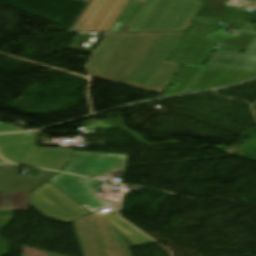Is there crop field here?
Segmentation results:
<instances>
[{
  "instance_id": "1",
  "label": "crop field",
  "mask_w": 256,
  "mask_h": 256,
  "mask_svg": "<svg viewBox=\"0 0 256 256\" xmlns=\"http://www.w3.org/2000/svg\"><path fill=\"white\" fill-rule=\"evenodd\" d=\"M185 32L110 34L89 63L93 77L156 92L180 64L164 60Z\"/></svg>"
},
{
  "instance_id": "2",
  "label": "crop field",
  "mask_w": 256,
  "mask_h": 256,
  "mask_svg": "<svg viewBox=\"0 0 256 256\" xmlns=\"http://www.w3.org/2000/svg\"><path fill=\"white\" fill-rule=\"evenodd\" d=\"M72 223L83 256H132L126 240L113 227L96 226L91 215Z\"/></svg>"
},
{
  "instance_id": "3",
  "label": "crop field",
  "mask_w": 256,
  "mask_h": 256,
  "mask_svg": "<svg viewBox=\"0 0 256 256\" xmlns=\"http://www.w3.org/2000/svg\"><path fill=\"white\" fill-rule=\"evenodd\" d=\"M30 205L45 217L64 223L89 214V211L48 182L31 193Z\"/></svg>"
},
{
  "instance_id": "4",
  "label": "crop field",
  "mask_w": 256,
  "mask_h": 256,
  "mask_svg": "<svg viewBox=\"0 0 256 256\" xmlns=\"http://www.w3.org/2000/svg\"><path fill=\"white\" fill-rule=\"evenodd\" d=\"M129 0H93L72 31L108 32Z\"/></svg>"
},
{
  "instance_id": "5",
  "label": "crop field",
  "mask_w": 256,
  "mask_h": 256,
  "mask_svg": "<svg viewBox=\"0 0 256 256\" xmlns=\"http://www.w3.org/2000/svg\"><path fill=\"white\" fill-rule=\"evenodd\" d=\"M49 181L92 213L116 203L95 195L97 191L93 189L92 186L100 184L99 181L84 179L64 173L57 175Z\"/></svg>"
},
{
  "instance_id": "6",
  "label": "crop field",
  "mask_w": 256,
  "mask_h": 256,
  "mask_svg": "<svg viewBox=\"0 0 256 256\" xmlns=\"http://www.w3.org/2000/svg\"><path fill=\"white\" fill-rule=\"evenodd\" d=\"M125 155L75 152L65 172L91 176L124 171Z\"/></svg>"
},
{
  "instance_id": "7",
  "label": "crop field",
  "mask_w": 256,
  "mask_h": 256,
  "mask_svg": "<svg viewBox=\"0 0 256 256\" xmlns=\"http://www.w3.org/2000/svg\"><path fill=\"white\" fill-rule=\"evenodd\" d=\"M217 43L187 32L167 61L202 65Z\"/></svg>"
},
{
  "instance_id": "8",
  "label": "crop field",
  "mask_w": 256,
  "mask_h": 256,
  "mask_svg": "<svg viewBox=\"0 0 256 256\" xmlns=\"http://www.w3.org/2000/svg\"><path fill=\"white\" fill-rule=\"evenodd\" d=\"M255 76L256 72L252 71L206 66L189 92L232 85L240 81L251 79Z\"/></svg>"
},
{
  "instance_id": "9",
  "label": "crop field",
  "mask_w": 256,
  "mask_h": 256,
  "mask_svg": "<svg viewBox=\"0 0 256 256\" xmlns=\"http://www.w3.org/2000/svg\"><path fill=\"white\" fill-rule=\"evenodd\" d=\"M37 133L0 135V155L11 163L24 165L36 147Z\"/></svg>"
},
{
  "instance_id": "10",
  "label": "crop field",
  "mask_w": 256,
  "mask_h": 256,
  "mask_svg": "<svg viewBox=\"0 0 256 256\" xmlns=\"http://www.w3.org/2000/svg\"><path fill=\"white\" fill-rule=\"evenodd\" d=\"M118 204L92 214L96 225L113 226L127 240L129 248L154 243L116 216Z\"/></svg>"
},
{
  "instance_id": "11",
  "label": "crop field",
  "mask_w": 256,
  "mask_h": 256,
  "mask_svg": "<svg viewBox=\"0 0 256 256\" xmlns=\"http://www.w3.org/2000/svg\"><path fill=\"white\" fill-rule=\"evenodd\" d=\"M205 65L256 71V41L244 53L215 51Z\"/></svg>"
},
{
  "instance_id": "12",
  "label": "crop field",
  "mask_w": 256,
  "mask_h": 256,
  "mask_svg": "<svg viewBox=\"0 0 256 256\" xmlns=\"http://www.w3.org/2000/svg\"><path fill=\"white\" fill-rule=\"evenodd\" d=\"M72 151L71 149L34 148L25 165L61 171Z\"/></svg>"
},
{
  "instance_id": "13",
  "label": "crop field",
  "mask_w": 256,
  "mask_h": 256,
  "mask_svg": "<svg viewBox=\"0 0 256 256\" xmlns=\"http://www.w3.org/2000/svg\"><path fill=\"white\" fill-rule=\"evenodd\" d=\"M232 20L227 21L226 27H221L209 34H206L209 38L225 45L220 51L235 52L237 50H247L250 45L256 40L255 34L246 33L239 37L224 33L227 28L231 26Z\"/></svg>"
},
{
  "instance_id": "14",
  "label": "crop field",
  "mask_w": 256,
  "mask_h": 256,
  "mask_svg": "<svg viewBox=\"0 0 256 256\" xmlns=\"http://www.w3.org/2000/svg\"><path fill=\"white\" fill-rule=\"evenodd\" d=\"M202 69L203 66L183 64L171 81L172 83L176 84L175 87L166 88L163 96L186 92Z\"/></svg>"
},
{
  "instance_id": "15",
  "label": "crop field",
  "mask_w": 256,
  "mask_h": 256,
  "mask_svg": "<svg viewBox=\"0 0 256 256\" xmlns=\"http://www.w3.org/2000/svg\"><path fill=\"white\" fill-rule=\"evenodd\" d=\"M229 0H203V5L197 15L211 14H234L240 13L237 6H227ZM247 21L256 22V11H250L247 14Z\"/></svg>"
},
{
  "instance_id": "16",
  "label": "crop field",
  "mask_w": 256,
  "mask_h": 256,
  "mask_svg": "<svg viewBox=\"0 0 256 256\" xmlns=\"http://www.w3.org/2000/svg\"><path fill=\"white\" fill-rule=\"evenodd\" d=\"M194 23L188 31H193L201 34L208 33L218 27H221L220 22H226L224 19L195 16Z\"/></svg>"
},
{
  "instance_id": "17",
  "label": "crop field",
  "mask_w": 256,
  "mask_h": 256,
  "mask_svg": "<svg viewBox=\"0 0 256 256\" xmlns=\"http://www.w3.org/2000/svg\"><path fill=\"white\" fill-rule=\"evenodd\" d=\"M140 5L136 1L130 0L109 32H122Z\"/></svg>"
},
{
  "instance_id": "18",
  "label": "crop field",
  "mask_w": 256,
  "mask_h": 256,
  "mask_svg": "<svg viewBox=\"0 0 256 256\" xmlns=\"http://www.w3.org/2000/svg\"><path fill=\"white\" fill-rule=\"evenodd\" d=\"M233 28H242V31L254 30L256 33V24L234 21Z\"/></svg>"
},
{
  "instance_id": "19",
  "label": "crop field",
  "mask_w": 256,
  "mask_h": 256,
  "mask_svg": "<svg viewBox=\"0 0 256 256\" xmlns=\"http://www.w3.org/2000/svg\"><path fill=\"white\" fill-rule=\"evenodd\" d=\"M15 131H22V129L0 123V132H15Z\"/></svg>"
},
{
  "instance_id": "20",
  "label": "crop field",
  "mask_w": 256,
  "mask_h": 256,
  "mask_svg": "<svg viewBox=\"0 0 256 256\" xmlns=\"http://www.w3.org/2000/svg\"><path fill=\"white\" fill-rule=\"evenodd\" d=\"M0 165H7L3 160L0 159Z\"/></svg>"
},
{
  "instance_id": "21",
  "label": "crop field",
  "mask_w": 256,
  "mask_h": 256,
  "mask_svg": "<svg viewBox=\"0 0 256 256\" xmlns=\"http://www.w3.org/2000/svg\"><path fill=\"white\" fill-rule=\"evenodd\" d=\"M200 1H202V0H200Z\"/></svg>"
},
{
  "instance_id": "22",
  "label": "crop field",
  "mask_w": 256,
  "mask_h": 256,
  "mask_svg": "<svg viewBox=\"0 0 256 256\" xmlns=\"http://www.w3.org/2000/svg\"><path fill=\"white\" fill-rule=\"evenodd\" d=\"M256 105V104H255Z\"/></svg>"
}]
</instances>
